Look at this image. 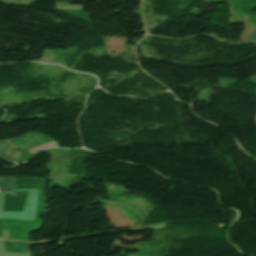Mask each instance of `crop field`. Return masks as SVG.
Returning <instances> with one entry per match:
<instances>
[{
	"label": "crop field",
	"instance_id": "crop-field-1",
	"mask_svg": "<svg viewBox=\"0 0 256 256\" xmlns=\"http://www.w3.org/2000/svg\"><path fill=\"white\" fill-rule=\"evenodd\" d=\"M4 252L23 253L28 251L27 243L2 241Z\"/></svg>",
	"mask_w": 256,
	"mask_h": 256
},
{
	"label": "crop field",
	"instance_id": "crop-field-2",
	"mask_svg": "<svg viewBox=\"0 0 256 256\" xmlns=\"http://www.w3.org/2000/svg\"><path fill=\"white\" fill-rule=\"evenodd\" d=\"M17 178L2 177L0 178V192L7 193L16 191Z\"/></svg>",
	"mask_w": 256,
	"mask_h": 256
}]
</instances>
